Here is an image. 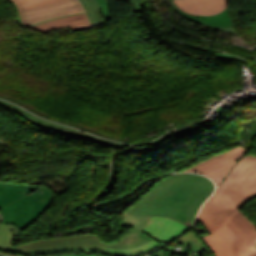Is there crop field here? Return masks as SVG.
Segmentation results:
<instances>
[{
  "instance_id": "crop-field-18",
  "label": "crop field",
  "mask_w": 256,
  "mask_h": 256,
  "mask_svg": "<svg viewBox=\"0 0 256 256\" xmlns=\"http://www.w3.org/2000/svg\"><path fill=\"white\" fill-rule=\"evenodd\" d=\"M216 57L217 58H225V59H233V60H238V61H242V62L248 63V62H246L245 60H243L241 58L230 56V55H226V54H222V53L216 54Z\"/></svg>"
},
{
  "instance_id": "crop-field-13",
  "label": "crop field",
  "mask_w": 256,
  "mask_h": 256,
  "mask_svg": "<svg viewBox=\"0 0 256 256\" xmlns=\"http://www.w3.org/2000/svg\"><path fill=\"white\" fill-rule=\"evenodd\" d=\"M162 244L151 240L150 242L132 249H110V248H101L99 254L109 255V256H142L147 255L150 252L156 250L161 247Z\"/></svg>"
},
{
  "instance_id": "crop-field-19",
  "label": "crop field",
  "mask_w": 256,
  "mask_h": 256,
  "mask_svg": "<svg viewBox=\"0 0 256 256\" xmlns=\"http://www.w3.org/2000/svg\"><path fill=\"white\" fill-rule=\"evenodd\" d=\"M15 226H16V225H15ZM15 226H13V227L11 228V230H12V235H13V236H14L15 234L19 235V232L21 231L20 229H18V228L15 227ZM16 240H18V239H14V242H15Z\"/></svg>"
},
{
  "instance_id": "crop-field-3",
  "label": "crop field",
  "mask_w": 256,
  "mask_h": 256,
  "mask_svg": "<svg viewBox=\"0 0 256 256\" xmlns=\"http://www.w3.org/2000/svg\"><path fill=\"white\" fill-rule=\"evenodd\" d=\"M13 225L0 224V251L23 254L25 256H46L66 252H88L98 254L102 241L95 234L59 237L24 243L11 247L13 237L10 228Z\"/></svg>"
},
{
  "instance_id": "crop-field-8",
  "label": "crop field",
  "mask_w": 256,
  "mask_h": 256,
  "mask_svg": "<svg viewBox=\"0 0 256 256\" xmlns=\"http://www.w3.org/2000/svg\"><path fill=\"white\" fill-rule=\"evenodd\" d=\"M187 229L188 226L170 218L151 217L143 232L153 237L154 240L166 244Z\"/></svg>"
},
{
  "instance_id": "crop-field-2",
  "label": "crop field",
  "mask_w": 256,
  "mask_h": 256,
  "mask_svg": "<svg viewBox=\"0 0 256 256\" xmlns=\"http://www.w3.org/2000/svg\"><path fill=\"white\" fill-rule=\"evenodd\" d=\"M214 185L192 174L172 175L158 182L149 193L124 214L167 216L188 226Z\"/></svg>"
},
{
  "instance_id": "crop-field-10",
  "label": "crop field",
  "mask_w": 256,
  "mask_h": 256,
  "mask_svg": "<svg viewBox=\"0 0 256 256\" xmlns=\"http://www.w3.org/2000/svg\"><path fill=\"white\" fill-rule=\"evenodd\" d=\"M175 5L192 15H214L222 12L227 0H173Z\"/></svg>"
},
{
  "instance_id": "crop-field-6",
  "label": "crop field",
  "mask_w": 256,
  "mask_h": 256,
  "mask_svg": "<svg viewBox=\"0 0 256 256\" xmlns=\"http://www.w3.org/2000/svg\"><path fill=\"white\" fill-rule=\"evenodd\" d=\"M248 151L243 147H234L213 156L183 171H193L209 176L218 186L234 164Z\"/></svg>"
},
{
  "instance_id": "crop-field-11",
  "label": "crop field",
  "mask_w": 256,
  "mask_h": 256,
  "mask_svg": "<svg viewBox=\"0 0 256 256\" xmlns=\"http://www.w3.org/2000/svg\"><path fill=\"white\" fill-rule=\"evenodd\" d=\"M169 2L179 15L190 21L198 22L202 25H208L213 29L236 33L228 7L222 13L214 16H191L177 8L172 0H169Z\"/></svg>"
},
{
  "instance_id": "crop-field-1",
  "label": "crop field",
  "mask_w": 256,
  "mask_h": 256,
  "mask_svg": "<svg viewBox=\"0 0 256 256\" xmlns=\"http://www.w3.org/2000/svg\"><path fill=\"white\" fill-rule=\"evenodd\" d=\"M218 188L198 215L212 233L202 239L215 256H256V226L239 209L256 197V156L242 158Z\"/></svg>"
},
{
  "instance_id": "crop-field-16",
  "label": "crop field",
  "mask_w": 256,
  "mask_h": 256,
  "mask_svg": "<svg viewBox=\"0 0 256 256\" xmlns=\"http://www.w3.org/2000/svg\"><path fill=\"white\" fill-rule=\"evenodd\" d=\"M97 1L100 4L102 15L106 19V21L109 20L110 18H112L111 14H110L108 1L107 0H97Z\"/></svg>"
},
{
  "instance_id": "crop-field-4",
  "label": "crop field",
  "mask_w": 256,
  "mask_h": 256,
  "mask_svg": "<svg viewBox=\"0 0 256 256\" xmlns=\"http://www.w3.org/2000/svg\"><path fill=\"white\" fill-rule=\"evenodd\" d=\"M41 186L25 184H9L0 182V188L19 189L30 191ZM53 192L47 188H40L34 194L26 195L12 204L2 208L4 222L14 224L21 230L35 221L50 205Z\"/></svg>"
},
{
  "instance_id": "crop-field-20",
  "label": "crop field",
  "mask_w": 256,
  "mask_h": 256,
  "mask_svg": "<svg viewBox=\"0 0 256 256\" xmlns=\"http://www.w3.org/2000/svg\"><path fill=\"white\" fill-rule=\"evenodd\" d=\"M196 127H199V126H191V127L185 128L184 131L189 130V129H193V128H196Z\"/></svg>"
},
{
  "instance_id": "crop-field-15",
  "label": "crop field",
  "mask_w": 256,
  "mask_h": 256,
  "mask_svg": "<svg viewBox=\"0 0 256 256\" xmlns=\"http://www.w3.org/2000/svg\"><path fill=\"white\" fill-rule=\"evenodd\" d=\"M26 193L19 190L0 189V208L17 200Z\"/></svg>"
},
{
  "instance_id": "crop-field-7",
  "label": "crop field",
  "mask_w": 256,
  "mask_h": 256,
  "mask_svg": "<svg viewBox=\"0 0 256 256\" xmlns=\"http://www.w3.org/2000/svg\"><path fill=\"white\" fill-rule=\"evenodd\" d=\"M124 219L113 236H117L119 232L124 230L129 231L124 238H118V243H103L102 246L111 248H131L140 246L152 238L142 233V229L149 221L150 217L136 216V215H123Z\"/></svg>"
},
{
  "instance_id": "crop-field-9",
  "label": "crop field",
  "mask_w": 256,
  "mask_h": 256,
  "mask_svg": "<svg viewBox=\"0 0 256 256\" xmlns=\"http://www.w3.org/2000/svg\"><path fill=\"white\" fill-rule=\"evenodd\" d=\"M0 104L3 105V106H6L9 109H11L12 111L18 113L25 120H27L28 122H30L31 124H34L36 126H40V127L48 128V129H54V130H56L58 132H61V133H66V134H70V135L85 137V138H88V139H91L93 141H97V142H100V143L106 144V145H111V146H116V147H120V145H121V144H118V143L108 142V141H105L103 139H98L96 137H93V136H91L89 134H86L84 132L77 131L75 129H71V128H68V127H65V126H62V125H58V124L47 122V121L42 120V119H38V118L34 117L33 115H31V114L13 106V105H11L7 102L0 101Z\"/></svg>"
},
{
  "instance_id": "crop-field-5",
  "label": "crop field",
  "mask_w": 256,
  "mask_h": 256,
  "mask_svg": "<svg viewBox=\"0 0 256 256\" xmlns=\"http://www.w3.org/2000/svg\"><path fill=\"white\" fill-rule=\"evenodd\" d=\"M17 13V23L25 28L54 18L83 13L78 0H9Z\"/></svg>"
},
{
  "instance_id": "crop-field-17",
  "label": "crop field",
  "mask_w": 256,
  "mask_h": 256,
  "mask_svg": "<svg viewBox=\"0 0 256 256\" xmlns=\"http://www.w3.org/2000/svg\"><path fill=\"white\" fill-rule=\"evenodd\" d=\"M132 3H133V7H134V10L135 12H142V8L141 6H145L144 4V0H131Z\"/></svg>"
},
{
  "instance_id": "crop-field-12",
  "label": "crop field",
  "mask_w": 256,
  "mask_h": 256,
  "mask_svg": "<svg viewBox=\"0 0 256 256\" xmlns=\"http://www.w3.org/2000/svg\"><path fill=\"white\" fill-rule=\"evenodd\" d=\"M68 26H70V29L73 32H77L82 29L91 27L85 13H83V14L54 19L43 24L32 26L30 28L36 29L38 31H41L47 34L53 30L68 27Z\"/></svg>"
},
{
  "instance_id": "crop-field-14",
  "label": "crop field",
  "mask_w": 256,
  "mask_h": 256,
  "mask_svg": "<svg viewBox=\"0 0 256 256\" xmlns=\"http://www.w3.org/2000/svg\"><path fill=\"white\" fill-rule=\"evenodd\" d=\"M87 12L92 26L101 25L104 19L101 16L100 7L96 0H80Z\"/></svg>"
}]
</instances>
